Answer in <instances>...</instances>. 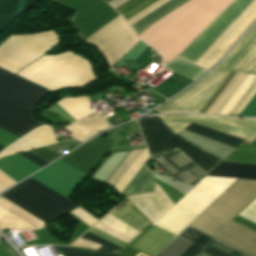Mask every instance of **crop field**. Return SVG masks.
Returning <instances> with one entry per match:
<instances>
[{"label": "crop field", "mask_w": 256, "mask_h": 256, "mask_svg": "<svg viewBox=\"0 0 256 256\" xmlns=\"http://www.w3.org/2000/svg\"><path fill=\"white\" fill-rule=\"evenodd\" d=\"M58 43L52 31L12 36L0 46V67L15 74ZM0 68V127L21 137L39 125L33 106L48 92Z\"/></svg>", "instance_id": "8a807250"}, {"label": "crop field", "mask_w": 256, "mask_h": 256, "mask_svg": "<svg viewBox=\"0 0 256 256\" xmlns=\"http://www.w3.org/2000/svg\"><path fill=\"white\" fill-rule=\"evenodd\" d=\"M179 152H181L180 150H178V151H174V152H170V153H166V154H162V155H158V156H153V157H151L152 159H153V161L155 162V163H157L154 159L155 158H157V157H159L160 159H162L164 162H166L169 166H171L173 169H175V170H173L171 167H169L166 163H164L162 160H160L159 158V160L161 161V162H163L165 165H164V167L168 170V171H170L172 174L174 173V172H176L175 174H171V173H169L165 168H163L159 163H157L159 166H161L163 169H165L166 171L165 172H163V174H165V175H167V176H169V177H172V178H174V179H176V180H178V181H181V182H183V183H185L184 181H186L185 179H183L178 173L180 172L181 173V171H184V170H188L190 173H192L197 179L196 180H194L191 176V178L194 180V181H192V182H190V183H188L187 181V183H188V185H191V186H194V185H196L205 175H206V173L204 172H202L201 170H199L200 168L195 164V163H193V162H190V163H188V164H186V165H184V166H182V167H180L181 165H183V164H185V163H187V162H189V161H191L185 154H183L182 152L181 153H179ZM177 153H179V154H177ZM175 154H177V155H175ZM173 155H175V156H173ZM171 156H173L178 162V164L180 165H178L177 163H175L174 161H172L171 159H170V157ZM195 166H197L196 168H194L195 170H197L200 174L201 173H203V174H201V175H196L194 172H192L190 169L191 168H193V167H195ZM185 172V171H184ZM186 173V172H185ZM180 176L183 180H181L178 176ZM182 174V173H181ZM187 174V173H186ZM188 175V174H187ZM191 175V174H190ZM188 179V178H187ZM236 179H232V178H221V177H211V176H206L202 181H204V182H206V183H208V184H210V185H212V186H214V187H216V188H218V189H220V190H222V191H224V190H226L234 181H235ZM201 184V182H199L194 188H192L181 200H179L164 216H162L161 218H159L157 221H155L154 222V224L153 225H155V226H157V227H159V228H162V229H164V230H166V231H169V232H171V233H173V234H175V235H177L188 223H190L198 214H199V212H197V211H195V210H193V209H191V208H189V207H187V206H185V205H183V204H181L180 202L185 198V197H187L196 187H198L199 185ZM222 192H220V191H218V190H216V189H214V188H212V187H210V186H208V185H206V184H204V183H202L198 188H196L187 198H185L183 201H182V203H184V204H186V205H188V206H190V207H192V208H194V209H196L201 203L202 204H204V205H206V206H208L211 202H213L220 194H221ZM178 204H180V205H182V206H184V207H186V208H188V209H190V210H192V211H194V212H196L197 214L195 215V213H193V212H191V211H189V210H187V209H185V208H183V207H181V206H179ZM128 206L130 209H132L134 212H136L138 215H140L141 217L140 218H142L144 221H146V222H144L142 219H140L139 217H138V215L136 214V213H134L132 210H130L128 207H126V206ZM178 205V206H177ZM123 206H125V207H123ZM177 206V207H176ZM123 207V208H122ZM176 207V208H175ZM120 208H122V209H120ZM175 208V209H174ZM120 209V210H119ZM172 209H174V210H172ZM117 210H119V211H121L123 214H125L126 216H128L129 218H131L133 221H135L136 223L135 224H133L132 226L135 228V229H140L142 226H144L145 224H147V225H145L143 228H141L140 230H136L137 232H141V231H143L145 228H147L149 225H151L150 223H149V221L128 201V202H126V203H124V204H122L121 206H119V207H117L116 209H114L112 212H110V213H114V212H116ZM172 210V211H171ZM171 211V212H170ZM170 212V213H169ZM169 213V214H168ZM168 214V215H167ZM114 215V214H113ZM167 215V216H166ZM195 215V216H194ZM116 216V215H115ZM166 216V217H165ZM177 216H179V217H181V218H183V219H185V220H187V221H189L193 216V218L187 223V224H185L177 233H175V232H173V231H171V230H169V229H167V228H165L170 222H172ZM117 217V216H116ZM165 217V218H164ZM118 218V217H117ZM162 218H164V219H162ZM120 219V218H119ZM162 219V220H161ZM121 220V219H120ZM161 220V221H160ZM123 221V220H122ZM160 221V222H159ZM124 222V221H123ZM159 222V224H161V225H163V226H165V227H163V226H161V225H159V224H157ZM127 224V223H126ZM128 225V224H127ZM153 225H151L150 227H148L146 230H144L142 233H140L137 237H135L127 246H125L126 244H123L122 245V243H120V242H118V241H116V240H114V239H112V238H110V237H108V236H106V235H104V234H102V233H100V232H98V231H96V230H94V229H92V227L88 230V232L92 229V230H94V231H96V232H98V233H100V234H102V235H104V236H106V237H108V238H110L111 240V242H113V243H115V244H117V245H119V246H121V248H123L124 246V248L121 250V251H119V253H118V255L117 256H137L138 255V253H140V254H142V255H144V256H149V255H147V254H145V253H143V252H141V251H144L157 237L158 238H160V239H162V240H164V241H169L171 238H172V236H170V235H168V234H166V233H164V232H162V231H160V230H158V229H156V228H154L153 227ZM130 226V225H129ZM131 227V226H130ZM132 227V228H133ZM153 227V228H152ZM133 228V229H134ZM152 228V229H151ZM151 229V230H150ZM161 229V230H162ZM150 230V231H149ZM163 230V231H164ZM149 231V232H148ZM165 231V232H166ZM148 232V233H147ZM169 232H167V233H169ZM91 233V232H90ZM147 233V234H146ZM171 233H169V234H171ZM93 234V233H92ZM146 234V235H145ZM173 234H171V235H173ZM95 235V234H94ZM145 235V236H144ZM175 235H173L174 237H175ZM97 236V235H96ZM142 236H144V237H142ZM99 237V236H98ZM142 237V238H141ZM173 237V238H174ZM101 238V237H100ZM141 238V239H140ZM172 238V239H173ZM103 239V238H102ZM140 239V240H139ZM171 239V240H172ZM139 240V241H138ZM170 240V241H171ZM138 241V242H137ZM169 241V242H170ZM137 242V243H136ZM169 242H167L160 250H162ZM136 243V244H135ZM135 244V245H134ZM134 245V246H133ZM135 247V248H137V249H139V250H141V251H139V250H137V249H135V248H133V247ZM159 250V251H160ZM158 251V252H159ZM158 252H156L153 256H155ZM140 256V255H139Z\"/></svg>", "instance_id": "ac0d7876"}, {"label": "crop field", "mask_w": 256, "mask_h": 256, "mask_svg": "<svg viewBox=\"0 0 256 256\" xmlns=\"http://www.w3.org/2000/svg\"><path fill=\"white\" fill-rule=\"evenodd\" d=\"M18 75L50 91L82 86L96 80L90 64L69 51L56 56H43Z\"/></svg>", "instance_id": "34b2d1b8"}, {"label": "crop field", "mask_w": 256, "mask_h": 256, "mask_svg": "<svg viewBox=\"0 0 256 256\" xmlns=\"http://www.w3.org/2000/svg\"><path fill=\"white\" fill-rule=\"evenodd\" d=\"M137 122L145 143H150L147 144L150 156L180 149L207 174L222 161V159L198 149L199 147L188 140L176 136L158 116L143 117Z\"/></svg>", "instance_id": "412701ff"}, {"label": "crop field", "mask_w": 256, "mask_h": 256, "mask_svg": "<svg viewBox=\"0 0 256 256\" xmlns=\"http://www.w3.org/2000/svg\"><path fill=\"white\" fill-rule=\"evenodd\" d=\"M30 178L2 195L47 224L79 205Z\"/></svg>", "instance_id": "f4fd0767"}, {"label": "crop field", "mask_w": 256, "mask_h": 256, "mask_svg": "<svg viewBox=\"0 0 256 256\" xmlns=\"http://www.w3.org/2000/svg\"><path fill=\"white\" fill-rule=\"evenodd\" d=\"M86 41L98 47L111 67L140 40L119 15L87 38Z\"/></svg>", "instance_id": "dd49c442"}, {"label": "crop field", "mask_w": 256, "mask_h": 256, "mask_svg": "<svg viewBox=\"0 0 256 256\" xmlns=\"http://www.w3.org/2000/svg\"><path fill=\"white\" fill-rule=\"evenodd\" d=\"M252 0H233L178 56L194 63Z\"/></svg>", "instance_id": "e52e79f7"}, {"label": "crop field", "mask_w": 256, "mask_h": 256, "mask_svg": "<svg viewBox=\"0 0 256 256\" xmlns=\"http://www.w3.org/2000/svg\"><path fill=\"white\" fill-rule=\"evenodd\" d=\"M256 20V0L235 19L212 46L200 57L195 65L209 69L242 36L245 30Z\"/></svg>", "instance_id": "d8731c3e"}, {"label": "crop field", "mask_w": 256, "mask_h": 256, "mask_svg": "<svg viewBox=\"0 0 256 256\" xmlns=\"http://www.w3.org/2000/svg\"><path fill=\"white\" fill-rule=\"evenodd\" d=\"M86 176L59 159L31 177L67 198Z\"/></svg>", "instance_id": "5a996713"}, {"label": "crop field", "mask_w": 256, "mask_h": 256, "mask_svg": "<svg viewBox=\"0 0 256 256\" xmlns=\"http://www.w3.org/2000/svg\"><path fill=\"white\" fill-rule=\"evenodd\" d=\"M187 228H189V227H187ZM186 228V229H187ZM185 229V230H186ZM189 229H191V228H189ZM191 230H193V229H191ZM193 231H195V230H193ZM195 232H197V231H195ZM185 233H187V234H189V235H191V236H193L194 238L196 237V236H198V234H196V233H194V232H192V231H190V230H186L185 231ZM197 233H199V232H197ZM200 235L197 237V238H193L194 240H192V239H190V238H188V237H186V236H184V235H182V234H180L179 236H181V237H183V238H185V239H187V240H189V241H191V242H193L192 244H191V242H189V241H187V240H185V239H183V238H181V237H177V238H175L169 245H171L176 239V241L172 244V246H174V247H176V248H178L179 250L174 254V255H172V256H178L182 251H184L190 244V246L183 252V253H181L179 256H195L212 238H210V237H208V236H206V235H204V234H202V233H199ZM217 240H215V239H212L196 256H200V255H202L203 253H205V254H207V255H209V256H244L245 254H243V253H241V252H239V251H237V250H235V249H233L232 251H231V249H229V248H227V247H225V246H223V245H221V244H219V243H217L216 242ZM216 242V243H215ZM219 242V241H218ZM216 244V245H218V246H220V247H222V248H224L225 250L224 251H226V252H230L229 254H227V253H225V252H223V251H221V250H219V249H217V248H215V247H213L212 245L213 244ZM221 243V242H220ZM223 244V243H222ZM168 245V246H169ZM225 245V244H224ZM167 246V247H168ZM227 246V245H226ZM166 247V248H167ZM229 247V246H228ZM165 248V249H166ZM231 248V247H230ZM164 249V250H165ZM163 250V251H164ZM162 251V252H163ZM161 252V253H162ZM161 253H159L157 256H159ZM247 256V255H246Z\"/></svg>", "instance_id": "3316defc"}, {"label": "crop field", "mask_w": 256, "mask_h": 256, "mask_svg": "<svg viewBox=\"0 0 256 256\" xmlns=\"http://www.w3.org/2000/svg\"><path fill=\"white\" fill-rule=\"evenodd\" d=\"M56 135L52 133L51 127L44 125L36 128L18 140L16 143L0 153V158L6 155L24 152L41 146L58 143Z\"/></svg>", "instance_id": "28ad6ade"}, {"label": "crop field", "mask_w": 256, "mask_h": 256, "mask_svg": "<svg viewBox=\"0 0 256 256\" xmlns=\"http://www.w3.org/2000/svg\"><path fill=\"white\" fill-rule=\"evenodd\" d=\"M109 127L107 122L99 114H95L63 128L70 131L72 133L70 136L78 142H83L91 138L94 134Z\"/></svg>", "instance_id": "d1516ede"}, {"label": "crop field", "mask_w": 256, "mask_h": 256, "mask_svg": "<svg viewBox=\"0 0 256 256\" xmlns=\"http://www.w3.org/2000/svg\"><path fill=\"white\" fill-rule=\"evenodd\" d=\"M39 168L41 167L19 155L0 159V171H2L16 182L29 176Z\"/></svg>", "instance_id": "22f410ed"}, {"label": "crop field", "mask_w": 256, "mask_h": 256, "mask_svg": "<svg viewBox=\"0 0 256 256\" xmlns=\"http://www.w3.org/2000/svg\"><path fill=\"white\" fill-rule=\"evenodd\" d=\"M157 1L158 0H134L131 3H129L128 5H126L124 8H122L121 10H119L118 12L127 21ZM167 1H169V0H160L157 3H155L154 5L150 6L146 10H144L143 12H141L140 14H138L137 16L133 17L132 19L127 21L129 26L132 25L133 23L137 22L138 20H140L147 14L151 13L152 11H154L155 9H157L158 7H160Z\"/></svg>", "instance_id": "cbeb9de0"}, {"label": "crop field", "mask_w": 256, "mask_h": 256, "mask_svg": "<svg viewBox=\"0 0 256 256\" xmlns=\"http://www.w3.org/2000/svg\"><path fill=\"white\" fill-rule=\"evenodd\" d=\"M208 175L256 179V165L221 162Z\"/></svg>", "instance_id": "5142ce71"}, {"label": "crop field", "mask_w": 256, "mask_h": 256, "mask_svg": "<svg viewBox=\"0 0 256 256\" xmlns=\"http://www.w3.org/2000/svg\"><path fill=\"white\" fill-rule=\"evenodd\" d=\"M153 173L154 172L150 171L144 164L121 195L128 197L132 195L154 192L155 186L152 179Z\"/></svg>", "instance_id": "d9b57169"}, {"label": "crop field", "mask_w": 256, "mask_h": 256, "mask_svg": "<svg viewBox=\"0 0 256 256\" xmlns=\"http://www.w3.org/2000/svg\"><path fill=\"white\" fill-rule=\"evenodd\" d=\"M88 99L86 95H80L78 97L61 100L57 104L78 120L92 113Z\"/></svg>", "instance_id": "733c2abd"}, {"label": "crop field", "mask_w": 256, "mask_h": 256, "mask_svg": "<svg viewBox=\"0 0 256 256\" xmlns=\"http://www.w3.org/2000/svg\"><path fill=\"white\" fill-rule=\"evenodd\" d=\"M186 129L194 133H197L201 136H204L206 138L212 139L214 141H217L235 148L242 142V140H239L237 138L195 125L193 123H191Z\"/></svg>", "instance_id": "4a817a6b"}, {"label": "crop field", "mask_w": 256, "mask_h": 256, "mask_svg": "<svg viewBox=\"0 0 256 256\" xmlns=\"http://www.w3.org/2000/svg\"><path fill=\"white\" fill-rule=\"evenodd\" d=\"M223 161L256 164V145L240 144Z\"/></svg>", "instance_id": "bc2a9ffb"}, {"label": "crop field", "mask_w": 256, "mask_h": 256, "mask_svg": "<svg viewBox=\"0 0 256 256\" xmlns=\"http://www.w3.org/2000/svg\"><path fill=\"white\" fill-rule=\"evenodd\" d=\"M247 75V74H246ZM246 75H242L237 73L236 76L232 79V81L227 85V87L223 90V92L219 95V97L214 101V103L210 106L206 113H214L217 114L221 107L225 104L228 98L232 95V93L236 90L239 84L243 81Z\"/></svg>", "instance_id": "214f88e0"}, {"label": "crop field", "mask_w": 256, "mask_h": 256, "mask_svg": "<svg viewBox=\"0 0 256 256\" xmlns=\"http://www.w3.org/2000/svg\"><path fill=\"white\" fill-rule=\"evenodd\" d=\"M163 67L192 80L196 79L198 76L205 72V70L201 68L184 63L177 59L169 60Z\"/></svg>", "instance_id": "92a150f3"}, {"label": "crop field", "mask_w": 256, "mask_h": 256, "mask_svg": "<svg viewBox=\"0 0 256 256\" xmlns=\"http://www.w3.org/2000/svg\"><path fill=\"white\" fill-rule=\"evenodd\" d=\"M148 158V151L147 149H145L114 186L119 193H121L122 190L127 186V184L131 181V179L135 176V174L138 172V170L142 167V165L146 162Z\"/></svg>", "instance_id": "dafd665d"}, {"label": "crop field", "mask_w": 256, "mask_h": 256, "mask_svg": "<svg viewBox=\"0 0 256 256\" xmlns=\"http://www.w3.org/2000/svg\"><path fill=\"white\" fill-rule=\"evenodd\" d=\"M256 79V75H250L248 74L247 77L244 79V81L240 84V86L237 88V90L234 92V94L230 97V99L227 101V103L223 106V108L220 110V114H226L228 115L230 111L234 108V106L237 104V102L241 99V97L244 95V93L247 91V89L250 87V85L253 83V81Z\"/></svg>", "instance_id": "00972430"}, {"label": "crop field", "mask_w": 256, "mask_h": 256, "mask_svg": "<svg viewBox=\"0 0 256 256\" xmlns=\"http://www.w3.org/2000/svg\"><path fill=\"white\" fill-rule=\"evenodd\" d=\"M0 228L36 229L22 219L0 207Z\"/></svg>", "instance_id": "a9b5d70f"}, {"label": "crop field", "mask_w": 256, "mask_h": 256, "mask_svg": "<svg viewBox=\"0 0 256 256\" xmlns=\"http://www.w3.org/2000/svg\"><path fill=\"white\" fill-rule=\"evenodd\" d=\"M0 206L12 212L13 214L17 215L18 217L22 218L23 220H25L26 222L30 223L31 225H33L38 229L47 225L42 221L38 220L37 218L33 217L32 215H30L29 213L25 212L24 210L20 209L19 207L15 206L13 203L1 197H0Z\"/></svg>", "instance_id": "4177f3b9"}, {"label": "crop field", "mask_w": 256, "mask_h": 256, "mask_svg": "<svg viewBox=\"0 0 256 256\" xmlns=\"http://www.w3.org/2000/svg\"><path fill=\"white\" fill-rule=\"evenodd\" d=\"M142 150L131 151L130 154L125 158L121 165L116 169L112 176L107 180L106 184L114 186L119 178L124 174L132 162L137 158Z\"/></svg>", "instance_id": "730fd06b"}, {"label": "crop field", "mask_w": 256, "mask_h": 256, "mask_svg": "<svg viewBox=\"0 0 256 256\" xmlns=\"http://www.w3.org/2000/svg\"><path fill=\"white\" fill-rule=\"evenodd\" d=\"M81 238H84V239L90 240L92 242L103 245L101 248L98 249L99 251H105V252H109V253L116 255V253L121 249V248H119L107 241H104L88 232H86L84 235H82Z\"/></svg>", "instance_id": "eef30255"}, {"label": "crop field", "mask_w": 256, "mask_h": 256, "mask_svg": "<svg viewBox=\"0 0 256 256\" xmlns=\"http://www.w3.org/2000/svg\"><path fill=\"white\" fill-rule=\"evenodd\" d=\"M57 247L66 256H112V255H108V254H104V253H98V252H95V253L91 254V253L79 251V250L68 248V247H61V246H57Z\"/></svg>", "instance_id": "ae1a2a85"}, {"label": "crop field", "mask_w": 256, "mask_h": 256, "mask_svg": "<svg viewBox=\"0 0 256 256\" xmlns=\"http://www.w3.org/2000/svg\"><path fill=\"white\" fill-rule=\"evenodd\" d=\"M74 216H76L78 219L86 223L88 226H92L94 223L97 222L94 218H92L90 215H88L86 212H84L79 207L75 208L73 211H71Z\"/></svg>", "instance_id": "d3111659"}, {"label": "crop field", "mask_w": 256, "mask_h": 256, "mask_svg": "<svg viewBox=\"0 0 256 256\" xmlns=\"http://www.w3.org/2000/svg\"><path fill=\"white\" fill-rule=\"evenodd\" d=\"M239 216L256 224V200L253 201Z\"/></svg>", "instance_id": "750c4746"}, {"label": "crop field", "mask_w": 256, "mask_h": 256, "mask_svg": "<svg viewBox=\"0 0 256 256\" xmlns=\"http://www.w3.org/2000/svg\"><path fill=\"white\" fill-rule=\"evenodd\" d=\"M19 137L0 129V145L6 147L16 141ZM0 146V151L4 148Z\"/></svg>", "instance_id": "bd1437ed"}, {"label": "crop field", "mask_w": 256, "mask_h": 256, "mask_svg": "<svg viewBox=\"0 0 256 256\" xmlns=\"http://www.w3.org/2000/svg\"><path fill=\"white\" fill-rule=\"evenodd\" d=\"M93 227H95V228H97V229H99V230H101V231H103V232H105V233H107V234L125 242V243H129L131 241V240L125 238L124 236L118 234L117 232L113 231L112 229L106 227L105 225H103L99 222L96 223Z\"/></svg>", "instance_id": "1d83c4d3"}, {"label": "crop field", "mask_w": 256, "mask_h": 256, "mask_svg": "<svg viewBox=\"0 0 256 256\" xmlns=\"http://www.w3.org/2000/svg\"><path fill=\"white\" fill-rule=\"evenodd\" d=\"M239 116H256V94L249 101Z\"/></svg>", "instance_id": "120bbe31"}, {"label": "crop field", "mask_w": 256, "mask_h": 256, "mask_svg": "<svg viewBox=\"0 0 256 256\" xmlns=\"http://www.w3.org/2000/svg\"><path fill=\"white\" fill-rule=\"evenodd\" d=\"M71 246H77V247H87L91 249L97 250L101 245L92 243L90 241L84 240L79 238L76 242H74Z\"/></svg>", "instance_id": "d32e631a"}, {"label": "crop field", "mask_w": 256, "mask_h": 256, "mask_svg": "<svg viewBox=\"0 0 256 256\" xmlns=\"http://www.w3.org/2000/svg\"><path fill=\"white\" fill-rule=\"evenodd\" d=\"M20 155L23 156V157H25L26 159H28V160L34 162L35 164H37V165H39V166H41V167L44 166V165H46V164H48V163L42 161L41 159L35 157L34 155L28 153V152H26V153H24V154H20Z\"/></svg>", "instance_id": "5866460e"}, {"label": "crop field", "mask_w": 256, "mask_h": 256, "mask_svg": "<svg viewBox=\"0 0 256 256\" xmlns=\"http://www.w3.org/2000/svg\"><path fill=\"white\" fill-rule=\"evenodd\" d=\"M233 220H235V221H237V222H239V223H241V224H243V225H245V226H247V227L256 231V225L255 224H253V223H251V222H249V221H247V220H245V219H243L239 216H237Z\"/></svg>", "instance_id": "028f5c9d"}, {"label": "crop field", "mask_w": 256, "mask_h": 256, "mask_svg": "<svg viewBox=\"0 0 256 256\" xmlns=\"http://www.w3.org/2000/svg\"><path fill=\"white\" fill-rule=\"evenodd\" d=\"M128 0H111L108 2L110 5H112L115 9L119 6H121L123 3H125Z\"/></svg>", "instance_id": "e1f06a70"}, {"label": "crop field", "mask_w": 256, "mask_h": 256, "mask_svg": "<svg viewBox=\"0 0 256 256\" xmlns=\"http://www.w3.org/2000/svg\"><path fill=\"white\" fill-rule=\"evenodd\" d=\"M151 48H147L143 53L142 55L136 60V62H138Z\"/></svg>", "instance_id": "0bd39190"}, {"label": "crop field", "mask_w": 256, "mask_h": 256, "mask_svg": "<svg viewBox=\"0 0 256 256\" xmlns=\"http://www.w3.org/2000/svg\"><path fill=\"white\" fill-rule=\"evenodd\" d=\"M251 144H256V139Z\"/></svg>", "instance_id": "b80d0937"}]
</instances>
